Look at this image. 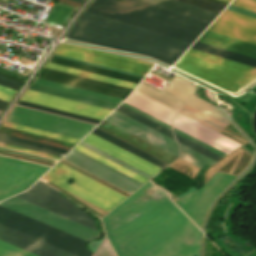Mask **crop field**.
Here are the masks:
<instances>
[{"label":"crop field","mask_w":256,"mask_h":256,"mask_svg":"<svg viewBox=\"0 0 256 256\" xmlns=\"http://www.w3.org/2000/svg\"><path fill=\"white\" fill-rule=\"evenodd\" d=\"M115 110H117V111H119V112H121V113H123V114H125V115H127V116H129V117H131V118H133V119H135V120H137V121L174 139L173 133L171 130H169V129H167V128H165V127H163V126H161V125H159V124H157V123H155V122H153V121H151V120L121 106V105L119 107H117Z\"/></svg>","instance_id":"crop-field-34"},{"label":"crop field","mask_w":256,"mask_h":256,"mask_svg":"<svg viewBox=\"0 0 256 256\" xmlns=\"http://www.w3.org/2000/svg\"><path fill=\"white\" fill-rule=\"evenodd\" d=\"M11 95L5 94L3 92H0V99L9 102V100L11 99Z\"/></svg>","instance_id":"crop-field-52"},{"label":"crop field","mask_w":256,"mask_h":256,"mask_svg":"<svg viewBox=\"0 0 256 256\" xmlns=\"http://www.w3.org/2000/svg\"><path fill=\"white\" fill-rule=\"evenodd\" d=\"M49 167L0 156V200L28 189Z\"/></svg>","instance_id":"crop-field-8"},{"label":"crop field","mask_w":256,"mask_h":256,"mask_svg":"<svg viewBox=\"0 0 256 256\" xmlns=\"http://www.w3.org/2000/svg\"><path fill=\"white\" fill-rule=\"evenodd\" d=\"M0 74H1V75H4V76H6V77H9V78L15 79V80H17V81H20V82H22V80H21V79H18V78H14V77L8 76V75H6V74H3V73H0Z\"/></svg>","instance_id":"crop-field-57"},{"label":"crop field","mask_w":256,"mask_h":256,"mask_svg":"<svg viewBox=\"0 0 256 256\" xmlns=\"http://www.w3.org/2000/svg\"><path fill=\"white\" fill-rule=\"evenodd\" d=\"M179 113L215 130L219 131L229 122L212 104L193 97L181 108Z\"/></svg>","instance_id":"crop-field-21"},{"label":"crop field","mask_w":256,"mask_h":256,"mask_svg":"<svg viewBox=\"0 0 256 256\" xmlns=\"http://www.w3.org/2000/svg\"><path fill=\"white\" fill-rule=\"evenodd\" d=\"M0 142L2 143H6V144H10V145H14V146H18V147H22V148H26V149H31V150H35V151H39V152H43V153H47V154H51V155H57L56 152H52V151H48V150H44V149H40V148H36V147H32V146H28V145H24V144H20V143H16V142H12V141H8V140H4V139H0Z\"/></svg>","instance_id":"crop-field-45"},{"label":"crop field","mask_w":256,"mask_h":256,"mask_svg":"<svg viewBox=\"0 0 256 256\" xmlns=\"http://www.w3.org/2000/svg\"><path fill=\"white\" fill-rule=\"evenodd\" d=\"M19 104L24 105V106H28V107H32V108H36V109H40V110H44V111H48V112H52V113H56V114H60V115H64V116H68V117H72V118H76V119H80V120H84V121H88V122H92V123H96V124H98L100 122L99 120H95V119H91V118H87V117H83V116H79V115H75V114H71V113L51 109V108H47V107H43V106H39V105L27 103V102H23V101H20Z\"/></svg>","instance_id":"crop-field-37"},{"label":"crop field","mask_w":256,"mask_h":256,"mask_svg":"<svg viewBox=\"0 0 256 256\" xmlns=\"http://www.w3.org/2000/svg\"><path fill=\"white\" fill-rule=\"evenodd\" d=\"M0 146H4V147H8V148H12V149H16V150H20V151H24V152H28V153H32V154H36V155H40V156H44V157H48V158H52V159H56L59 160V157H54V156H50V155H46V154H42V153H38V152H34V151H30V150H26V149H22V148H18V147H14V146H10V145H6V144H2L0 143Z\"/></svg>","instance_id":"crop-field-48"},{"label":"crop field","mask_w":256,"mask_h":256,"mask_svg":"<svg viewBox=\"0 0 256 256\" xmlns=\"http://www.w3.org/2000/svg\"><path fill=\"white\" fill-rule=\"evenodd\" d=\"M56 54L145 75L153 64L113 53L61 43Z\"/></svg>","instance_id":"crop-field-10"},{"label":"crop field","mask_w":256,"mask_h":256,"mask_svg":"<svg viewBox=\"0 0 256 256\" xmlns=\"http://www.w3.org/2000/svg\"><path fill=\"white\" fill-rule=\"evenodd\" d=\"M92 133H94V134H96V135H98V136H100V137H102V138H104V139H106V140H108V141H110V142H112V143H114V144H116V145H118V146H120V147H122V148H124V149H126V150H128V151H130V152H132V153H134V154H136V155H138V156H140V157L158 165V166H160V167H162V168L165 167L168 164L165 161H163V160H161V159H159V158H157V157H155V156H153V155H151V154H149V153H147V152H145V151H143V150H141V149H139V148H137V147H135V146H133V145H131V144H129V143H127V142H125V141H123V140H121V139H119V138L101 130V129H99V128H97V127L92 131Z\"/></svg>","instance_id":"crop-field-25"},{"label":"crop field","mask_w":256,"mask_h":256,"mask_svg":"<svg viewBox=\"0 0 256 256\" xmlns=\"http://www.w3.org/2000/svg\"><path fill=\"white\" fill-rule=\"evenodd\" d=\"M198 41L256 58V45L206 30Z\"/></svg>","instance_id":"crop-field-23"},{"label":"crop field","mask_w":256,"mask_h":256,"mask_svg":"<svg viewBox=\"0 0 256 256\" xmlns=\"http://www.w3.org/2000/svg\"><path fill=\"white\" fill-rule=\"evenodd\" d=\"M42 178L108 211L119 202H121L124 198H126V196H124L123 194L59 162ZM70 179H73V182L71 184L69 183Z\"/></svg>","instance_id":"crop-field-5"},{"label":"crop field","mask_w":256,"mask_h":256,"mask_svg":"<svg viewBox=\"0 0 256 256\" xmlns=\"http://www.w3.org/2000/svg\"><path fill=\"white\" fill-rule=\"evenodd\" d=\"M4 125L13 127V128H17V129H21V130H25V131H29V132H33V133H37V134H42V135L74 142V143H77L79 141L78 139H74V138H70V137H66V136H62V135H58V134H53V133H49V132H45V131H41V130H37V129H33V128H28V127H24V126H20V125H16V124L8 123V122H5Z\"/></svg>","instance_id":"crop-field-39"},{"label":"crop field","mask_w":256,"mask_h":256,"mask_svg":"<svg viewBox=\"0 0 256 256\" xmlns=\"http://www.w3.org/2000/svg\"><path fill=\"white\" fill-rule=\"evenodd\" d=\"M15 196L95 229L94 222L87 212L79 209L58 191L40 181Z\"/></svg>","instance_id":"crop-field-7"},{"label":"crop field","mask_w":256,"mask_h":256,"mask_svg":"<svg viewBox=\"0 0 256 256\" xmlns=\"http://www.w3.org/2000/svg\"><path fill=\"white\" fill-rule=\"evenodd\" d=\"M87 10L191 42L210 23L141 0H94Z\"/></svg>","instance_id":"crop-field-3"},{"label":"crop field","mask_w":256,"mask_h":256,"mask_svg":"<svg viewBox=\"0 0 256 256\" xmlns=\"http://www.w3.org/2000/svg\"><path fill=\"white\" fill-rule=\"evenodd\" d=\"M234 178L235 176L216 171L202 187L174 202L201 228L209 205Z\"/></svg>","instance_id":"crop-field-9"},{"label":"crop field","mask_w":256,"mask_h":256,"mask_svg":"<svg viewBox=\"0 0 256 256\" xmlns=\"http://www.w3.org/2000/svg\"><path fill=\"white\" fill-rule=\"evenodd\" d=\"M0 137L5 138V139H9V140H13V141H17V142H22V143H26V144H30V145H34V146H38V147H43V148L63 152V153H66L68 151L67 149H63V148H59V147H55V146H50V145H46V144H42V143H38V142H33V141H29V140H25V139H21V138H17V137L4 135V134H0Z\"/></svg>","instance_id":"crop-field-42"},{"label":"crop field","mask_w":256,"mask_h":256,"mask_svg":"<svg viewBox=\"0 0 256 256\" xmlns=\"http://www.w3.org/2000/svg\"><path fill=\"white\" fill-rule=\"evenodd\" d=\"M0 88L15 93V90L0 85Z\"/></svg>","instance_id":"crop-field-56"},{"label":"crop field","mask_w":256,"mask_h":256,"mask_svg":"<svg viewBox=\"0 0 256 256\" xmlns=\"http://www.w3.org/2000/svg\"><path fill=\"white\" fill-rule=\"evenodd\" d=\"M0 217H3L5 219L11 220L13 222H16L18 224H21L23 226L29 227L31 229H34L36 231H39L43 234H46L50 237H53L57 240H60L62 242H65L69 245H72L76 248H79L83 251L90 252L86 249L85 243L86 241L79 239L75 236H72L68 233H65L61 230H58L54 227H51L47 224H44L42 222H39L37 220H34L30 217H27L25 215H22L20 213H17L15 211H12L8 208H5L3 206H0ZM92 253V252H90Z\"/></svg>","instance_id":"crop-field-19"},{"label":"crop field","mask_w":256,"mask_h":256,"mask_svg":"<svg viewBox=\"0 0 256 256\" xmlns=\"http://www.w3.org/2000/svg\"><path fill=\"white\" fill-rule=\"evenodd\" d=\"M39 78L119 97L125 99L132 89L88 79L85 77L43 67Z\"/></svg>","instance_id":"crop-field-15"},{"label":"crop field","mask_w":256,"mask_h":256,"mask_svg":"<svg viewBox=\"0 0 256 256\" xmlns=\"http://www.w3.org/2000/svg\"><path fill=\"white\" fill-rule=\"evenodd\" d=\"M22 100L99 120H102L110 111H112L111 109L75 100H70L30 89L25 92Z\"/></svg>","instance_id":"crop-field-12"},{"label":"crop field","mask_w":256,"mask_h":256,"mask_svg":"<svg viewBox=\"0 0 256 256\" xmlns=\"http://www.w3.org/2000/svg\"><path fill=\"white\" fill-rule=\"evenodd\" d=\"M53 56H57V57H61V58H65V59H69V60H73V61H77V62H81V63H85V64H89V65H93V66H97V67H101V68H105V69H109V70H113V71H117V72H121V73H125V74H129V75H133V76H137V77L143 78L142 75H138V74H134V73L118 70V69H113V68H109V67H105V66H101V65L85 62V61H80V60H76V59H72V58H68V57H64V56H60V55H56V54H53Z\"/></svg>","instance_id":"crop-field-46"},{"label":"crop field","mask_w":256,"mask_h":256,"mask_svg":"<svg viewBox=\"0 0 256 256\" xmlns=\"http://www.w3.org/2000/svg\"><path fill=\"white\" fill-rule=\"evenodd\" d=\"M188 4H192L198 7H202L211 11H215L220 13L221 10L225 7V5L218 4L208 0H179Z\"/></svg>","instance_id":"crop-field-41"},{"label":"crop field","mask_w":256,"mask_h":256,"mask_svg":"<svg viewBox=\"0 0 256 256\" xmlns=\"http://www.w3.org/2000/svg\"><path fill=\"white\" fill-rule=\"evenodd\" d=\"M0 223L6 224V225L11 226V227H13L15 229L23 231V232H25L27 234L35 236V237H37V238H39L41 240H44V241H46V242H48L50 244H53V245H55V246H57L59 248H62L64 250L68 251V252H71V253H73V254H75L77 256H90V254H88L86 252H83V251H81L79 249H76V248H74L72 246H69V245H67L65 243L57 241V240H55L53 238H50V237H48L46 235H43V234L39 233V232H36L34 230H31V229H28L26 227H23V226L18 225L16 223L10 222V221L5 220L3 218H0Z\"/></svg>","instance_id":"crop-field-29"},{"label":"crop field","mask_w":256,"mask_h":256,"mask_svg":"<svg viewBox=\"0 0 256 256\" xmlns=\"http://www.w3.org/2000/svg\"><path fill=\"white\" fill-rule=\"evenodd\" d=\"M29 88L34 89V90H38V91H42V92H46V93H50V94H54V95H58V96H62V97H66V98H71V99H75V100H79V101H83V102H87V103H91V104L111 108V109H114L115 107L118 106V104H114V103H110V102H106V101H102V100H98V99H94V98H90V97H86V96H82V95L62 91V90H58V89H54V88L34 84V83H32Z\"/></svg>","instance_id":"crop-field-27"},{"label":"crop field","mask_w":256,"mask_h":256,"mask_svg":"<svg viewBox=\"0 0 256 256\" xmlns=\"http://www.w3.org/2000/svg\"><path fill=\"white\" fill-rule=\"evenodd\" d=\"M231 5L256 12V0H233Z\"/></svg>","instance_id":"crop-field-44"},{"label":"crop field","mask_w":256,"mask_h":256,"mask_svg":"<svg viewBox=\"0 0 256 256\" xmlns=\"http://www.w3.org/2000/svg\"><path fill=\"white\" fill-rule=\"evenodd\" d=\"M174 66L229 92L256 77V68L189 48Z\"/></svg>","instance_id":"crop-field-4"},{"label":"crop field","mask_w":256,"mask_h":256,"mask_svg":"<svg viewBox=\"0 0 256 256\" xmlns=\"http://www.w3.org/2000/svg\"><path fill=\"white\" fill-rule=\"evenodd\" d=\"M0 112H1V110H0Z\"/></svg>","instance_id":"crop-field-62"},{"label":"crop field","mask_w":256,"mask_h":256,"mask_svg":"<svg viewBox=\"0 0 256 256\" xmlns=\"http://www.w3.org/2000/svg\"><path fill=\"white\" fill-rule=\"evenodd\" d=\"M0 71L17 77V76H16L17 73H14V72H12V71L6 70V69H4V68H1V67H0ZM18 78H20V77H18ZM22 79H23V78H22Z\"/></svg>","instance_id":"crop-field-53"},{"label":"crop field","mask_w":256,"mask_h":256,"mask_svg":"<svg viewBox=\"0 0 256 256\" xmlns=\"http://www.w3.org/2000/svg\"><path fill=\"white\" fill-rule=\"evenodd\" d=\"M7 102H4L0 100V109L3 110V108L6 106Z\"/></svg>","instance_id":"crop-field-55"},{"label":"crop field","mask_w":256,"mask_h":256,"mask_svg":"<svg viewBox=\"0 0 256 256\" xmlns=\"http://www.w3.org/2000/svg\"><path fill=\"white\" fill-rule=\"evenodd\" d=\"M8 122L81 139L94 125L16 106ZM88 134V133H87Z\"/></svg>","instance_id":"crop-field-6"},{"label":"crop field","mask_w":256,"mask_h":256,"mask_svg":"<svg viewBox=\"0 0 256 256\" xmlns=\"http://www.w3.org/2000/svg\"><path fill=\"white\" fill-rule=\"evenodd\" d=\"M0 239L40 256H75L35 237L0 224Z\"/></svg>","instance_id":"crop-field-20"},{"label":"crop field","mask_w":256,"mask_h":256,"mask_svg":"<svg viewBox=\"0 0 256 256\" xmlns=\"http://www.w3.org/2000/svg\"><path fill=\"white\" fill-rule=\"evenodd\" d=\"M0 91H3V92H5V93H8V94L13 95V93H10V92H7V91H4V90H2V89H0Z\"/></svg>","instance_id":"crop-field-59"},{"label":"crop field","mask_w":256,"mask_h":256,"mask_svg":"<svg viewBox=\"0 0 256 256\" xmlns=\"http://www.w3.org/2000/svg\"><path fill=\"white\" fill-rule=\"evenodd\" d=\"M0 84L4 85V86H7V87H10V88L15 89V90H17L18 87H19L18 85H15L13 83L7 82V81L2 80V79H0Z\"/></svg>","instance_id":"crop-field-51"},{"label":"crop field","mask_w":256,"mask_h":256,"mask_svg":"<svg viewBox=\"0 0 256 256\" xmlns=\"http://www.w3.org/2000/svg\"><path fill=\"white\" fill-rule=\"evenodd\" d=\"M75 1H79V2H81V0H75Z\"/></svg>","instance_id":"crop-field-61"},{"label":"crop field","mask_w":256,"mask_h":256,"mask_svg":"<svg viewBox=\"0 0 256 256\" xmlns=\"http://www.w3.org/2000/svg\"><path fill=\"white\" fill-rule=\"evenodd\" d=\"M0 256H37L0 240Z\"/></svg>","instance_id":"crop-field-36"},{"label":"crop field","mask_w":256,"mask_h":256,"mask_svg":"<svg viewBox=\"0 0 256 256\" xmlns=\"http://www.w3.org/2000/svg\"><path fill=\"white\" fill-rule=\"evenodd\" d=\"M82 141L150 174L154 175L156 174L161 168L93 135L89 134L87 137H85Z\"/></svg>","instance_id":"crop-field-22"},{"label":"crop field","mask_w":256,"mask_h":256,"mask_svg":"<svg viewBox=\"0 0 256 256\" xmlns=\"http://www.w3.org/2000/svg\"><path fill=\"white\" fill-rule=\"evenodd\" d=\"M102 220L118 256H198L197 227L148 182Z\"/></svg>","instance_id":"crop-field-1"},{"label":"crop field","mask_w":256,"mask_h":256,"mask_svg":"<svg viewBox=\"0 0 256 256\" xmlns=\"http://www.w3.org/2000/svg\"><path fill=\"white\" fill-rule=\"evenodd\" d=\"M0 205H3L5 207L18 211L22 214H25L27 216H30L32 218L45 222L47 224H50L63 231H66L79 238H82L86 241L99 238L101 234V232L94 231L90 228H87L83 225H80L62 216L54 214L50 211H47L43 208H40L36 205H33L29 202L19 199L15 196L11 197L6 201L0 202Z\"/></svg>","instance_id":"crop-field-11"},{"label":"crop field","mask_w":256,"mask_h":256,"mask_svg":"<svg viewBox=\"0 0 256 256\" xmlns=\"http://www.w3.org/2000/svg\"><path fill=\"white\" fill-rule=\"evenodd\" d=\"M34 83H38V84H42V85H46V86H50V87H54V88H58V89H62V90H66V91H70V92H74V93H78V94L114 102V103H118V104H120L123 101L122 99H118V98H114V97H110V96H106V95H102V94L66 86V85H62V84H58V83H54V82H50V81H46V80H42V79H38V78L35 79Z\"/></svg>","instance_id":"crop-field-32"},{"label":"crop field","mask_w":256,"mask_h":256,"mask_svg":"<svg viewBox=\"0 0 256 256\" xmlns=\"http://www.w3.org/2000/svg\"><path fill=\"white\" fill-rule=\"evenodd\" d=\"M0 78L5 79V80H7V81H10V82H13V83H15V84L20 85V82H17V81H15V80H12V79H9V78H6V77H4V76H1V75H0Z\"/></svg>","instance_id":"crop-field-54"},{"label":"crop field","mask_w":256,"mask_h":256,"mask_svg":"<svg viewBox=\"0 0 256 256\" xmlns=\"http://www.w3.org/2000/svg\"><path fill=\"white\" fill-rule=\"evenodd\" d=\"M225 1H228V2H230L231 0H225Z\"/></svg>","instance_id":"crop-field-60"},{"label":"crop field","mask_w":256,"mask_h":256,"mask_svg":"<svg viewBox=\"0 0 256 256\" xmlns=\"http://www.w3.org/2000/svg\"><path fill=\"white\" fill-rule=\"evenodd\" d=\"M136 91L177 111L193 94L194 84L176 75L160 92L143 83Z\"/></svg>","instance_id":"crop-field-16"},{"label":"crop field","mask_w":256,"mask_h":256,"mask_svg":"<svg viewBox=\"0 0 256 256\" xmlns=\"http://www.w3.org/2000/svg\"><path fill=\"white\" fill-rule=\"evenodd\" d=\"M154 4H158L167 8H171L180 12H184L190 15H194L203 19L212 21L218 13L211 12L205 9H201L192 5H188L175 0H144Z\"/></svg>","instance_id":"crop-field-26"},{"label":"crop field","mask_w":256,"mask_h":256,"mask_svg":"<svg viewBox=\"0 0 256 256\" xmlns=\"http://www.w3.org/2000/svg\"><path fill=\"white\" fill-rule=\"evenodd\" d=\"M180 147H181V155H180V158L202 168V166L207 163L209 164L210 166L212 164H214L216 161L181 144L180 143ZM209 166V167H210Z\"/></svg>","instance_id":"crop-field-33"},{"label":"crop field","mask_w":256,"mask_h":256,"mask_svg":"<svg viewBox=\"0 0 256 256\" xmlns=\"http://www.w3.org/2000/svg\"><path fill=\"white\" fill-rule=\"evenodd\" d=\"M173 127L225 152L230 153L232 150L242 146L180 114L177 113Z\"/></svg>","instance_id":"crop-field-18"},{"label":"crop field","mask_w":256,"mask_h":256,"mask_svg":"<svg viewBox=\"0 0 256 256\" xmlns=\"http://www.w3.org/2000/svg\"><path fill=\"white\" fill-rule=\"evenodd\" d=\"M173 130L175 132H177V133H179V134H181V135H183V136H185V137H187V138H189V139H191V140H193V141H195V142H197V143H199V144H201V145H203V146H205V147H207V148H209V149H211V150H213V151H215V152H217L221 155H223V156L227 155V154H225V153H223V152H221V151H219V150H217V149H215V148H213V147H211V146H209V145H207V144H205V143H203V142H201V141H199V140H197V139H195V138H193V137H191V136H189V135H187V134H185V133H183V132H181V131H179L175 128H173Z\"/></svg>","instance_id":"crop-field-47"},{"label":"crop field","mask_w":256,"mask_h":256,"mask_svg":"<svg viewBox=\"0 0 256 256\" xmlns=\"http://www.w3.org/2000/svg\"><path fill=\"white\" fill-rule=\"evenodd\" d=\"M212 1H215V2H218V3H222V4H225V5H227V4H228V2L221 1V0H212Z\"/></svg>","instance_id":"crop-field-58"},{"label":"crop field","mask_w":256,"mask_h":256,"mask_svg":"<svg viewBox=\"0 0 256 256\" xmlns=\"http://www.w3.org/2000/svg\"><path fill=\"white\" fill-rule=\"evenodd\" d=\"M105 120L175 154H179L177 141L117 112L113 111Z\"/></svg>","instance_id":"crop-field-17"},{"label":"crop field","mask_w":256,"mask_h":256,"mask_svg":"<svg viewBox=\"0 0 256 256\" xmlns=\"http://www.w3.org/2000/svg\"><path fill=\"white\" fill-rule=\"evenodd\" d=\"M122 105H124V106H126V107H128V108H130V109H132V110H134V111H136V112H138V113H140V114H142V115H144V116H146V117H148V118H150V119H152V120H154V121H156V122H158V123H160V124H162V125H164V126H166V127L171 129L170 126H168V125H166V124H164V123H162V122H160V121H158V120H156V119H154V118H152V117H150V116H148V115H146V114H144V113H142V112H140V111H138V110H136V109L126 105V104H124V103Z\"/></svg>","instance_id":"crop-field-50"},{"label":"crop field","mask_w":256,"mask_h":256,"mask_svg":"<svg viewBox=\"0 0 256 256\" xmlns=\"http://www.w3.org/2000/svg\"><path fill=\"white\" fill-rule=\"evenodd\" d=\"M124 102L148 113L149 115L171 125L175 111L133 91Z\"/></svg>","instance_id":"crop-field-24"},{"label":"crop field","mask_w":256,"mask_h":256,"mask_svg":"<svg viewBox=\"0 0 256 256\" xmlns=\"http://www.w3.org/2000/svg\"><path fill=\"white\" fill-rule=\"evenodd\" d=\"M191 48H195V49H198V50H201V51H205V52H208V53H211V54H215V55H218V56H221V57H225V58H228V59H231V60H235V61H238V62L245 63V64L256 67V59H254V58H250V57H247V56H244V55H240V54L230 52V51H227V50H224V49H220V48H217V47H214V46H210V45H207V44H204V43H200V42L196 41L191 46Z\"/></svg>","instance_id":"crop-field-30"},{"label":"crop field","mask_w":256,"mask_h":256,"mask_svg":"<svg viewBox=\"0 0 256 256\" xmlns=\"http://www.w3.org/2000/svg\"><path fill=\"white\" fill-rule=\"evenodd\" d=\"M208 30L256 44V18L225 9Z\"/></svg>","instance_id":"crop-field-13"},{"label":"crop field","mask_w":256,"mask_h":256,"mask_svg":"<svg viewBox=\"0 0 256 256\" xmlns=\"http://www.w3.org/2000/svg\"><path fill=\"white\" fill-rule=\"evenodd\" d=\"M74 148H76V149H78V150H80V151H82V152H84V153H86V154H88V155H90V156L108 164L109 166H111V167H113V168H115V169H117V170H119V171H121V172H123V173H125V174L143 182V183L148 180V179H146V178H144V177H142V176H140V175H138V174H136V173H134V172H132V171H130V170H128V169H126V168H124V167H122V166H120V165H118V164H116V163H114V162H112V161H110V160H108V159H106V158H104V157H102V156H100V155L82 147V146H80V145H78V144Z\"/></svg>","instance_id":"crop-field-35"},{"label":"crop field","mask_w":256,"mask_h":256,"mask_svg":"<svg viewBox=\"0 0 256 256\" xmlns=\"http://www.w3.org/2000/svg\"><path fill=\"white\" fill-rule=\"evenodd\" d=\"M129 192L135 191L142 183L76 151L74 148L63 158Z\"/></svg>","instance_id":"crop-field-14"},{"label":"crop field","mask_w":256,"mask_h":256,"mask_svg":"<svg viewBox=\"0 0 256 256\" xmlns=\"http://www.w3.org/2000/svg\"><path fill=\"white\" fill-rule=\"evenodd\" d=\"M78 144H80V145H82V146H84V147H86V148H88V149H90V150H92V151H94V152H96V153H98V154H100V155H102V156H104V157H106V158H108V159H110V160H112V161H114V162H116V163H118V164H120V165H122V166H124V167L142 175V176H144V177H146V178H148V179L152 177V176H150V175H148V174H146V173H144V172H142V171H140V170H138V169H136V168H134V167H132V166H130V165H128V164H126V163H124V162H122V161H120V160H118V159H116V158H114V157H112V156H110V155H108V154H106V153H104V152L86 144V143H84V142H82V141L79 142Z\"/></svg>","instance_id":"crop-field-40"},{"label":"crop field","mask_w":256,"mask_h":256,"mask_svg":"<svg viewBox=\"0 0 256 256\" xmlns=\"http://www.w3.org/2000/svg\"><path fill=\"white\" fill-rule=\"evenodd\" d=\"M227 9L234 10V11H237V12H240V13H244V14L256 17V13L255 12H251V11H248V10H245V9H241V8H238V7H235V6L229 5L227 7Z\"/></svg>","instance_id":"crop-field-49"},{"label":"crop field","mask_w":256,"mask_h":256,"mask_svg":"<svg viewBox=\"0 0 256 256\" xmlns=\"http://www.w3.org/2000/svg\"><path fill=\"white\" fill-rule=\"evenodd\" d=\"M92 256H115L112 248L110 247L106 237L99 245V247L95 250Z\"/></svg>","instance_id":"crop-field-43"},{"label":"crop field","mask_w":256,"mask_h":256,"mask_svg":"<svg viewBox=\"0 0 256 256\" xmlns=\"http://www.w3.org/2000/svg\"><path fill=\"white\" fill-rule=\"evenodd\" d=\"M49 61L58 63V64H62V65H66V66H70V67H74V68H78V69H83V70L115 77V78H119V79H123V80H127V81H131V82H135V83H138L141 80V78H137V77H133V76H129V75H125V74H121V73H117V72H113V71H109V70H105V69H101V68H97V67H93V66H89V65H85V64H81V63H77V62H73V61H69V60H65V59H61V58H57V57H53V56H51Z\"/></svg>","instance_id":"crop-field-28"},{"label":"crop field","mask_w":256,"mask_h":256,"mask_svg":"<svg viewBox=\"0 0 256 256\" xmlns=\"http://www.w3.org/2000/svg\"><path fill=\"white\" fill-rule=\"evenodd\" d=\"M45 66L54 68V69H58V70H62V71H66V72H70V73H74V74H78V75H82L85 77L109 82L112 84L132 88V89H134V87L136 86L135 83H131V82H127V81H123V80H119V79H115V78H111V77H107V76H103V75H99V74H95V73H90V72H86V71H82V70H78V69H74V68L54 64V63H50V62H48Z\"/></svg>","instance_id":"crop-field-31"},{"label":"crop field","mask_w":256,"mask_h":256,"mask_svg":"<svg viewBox=\"0 0 256 256\" xmlns=\"http://www.w3.org/2000/svg\"><path fill=\"white\" fill-rule=\"evenodd\" d=\"M174 134L176 135L179 142H181V143H183V144H185V145H187V146H189V147H191V148H193V149H195V150H197V151H199L217 161L222 158V156H220V155H218V154H216V153H214V152H212V151H210V150H208V149H206V148H204V147H202V146H200V145H198V144H196V143H194L176 133H174Z\"/></svg>","instance_id":"crop-field-38"},{"label":"crop field","mask_w":256,"mask_h":256,"mask_svg":"<svg viewBox=\"0 0 256 256\" xmlns=\"http://www.w3.org/2000/svg\"><path fill=\"white\" fill-rule=\"evenodd\" d=\"M67 39L145 55L172 65L191 42L85 10Z\"/></svg>","instance_id":"crop-field-2"}]
</instances>
